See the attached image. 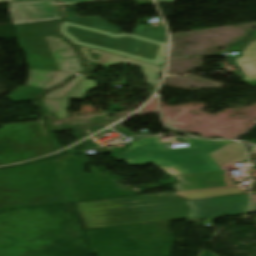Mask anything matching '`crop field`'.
Listing matches in <instances>:
<instances>
[{"label":"crop field","mask_w":256,"mask_h":256,"mask_svg":"<svg viewBox=\"0 0 256 256\" xmlns=\"http://www.w3.org/2000/svg\"><path fill=\"white\" fill-rule=\"evenodd\" d=\"M138 5H154L152 0H137Z\"/></svg>","instance_id":"crop-field-15"},{"label":"crop field","mask_w":256,"mask_h":256,"mask_svg":"<svg viewBox=\"0 0 256 256\" xmlns=\"http://www.w3.org/2000/svg\"><path fill=\"white\" fill-rule=\"evenodd\" d=\"M157 2L173 3V0H156Z\"/></svg>","instance_id":"crop-field-19"},{"label":"crop field","mask_w":256,"mask_h":256,"mask_svg":"<svg viewBox=\"0 0 256 256\" xmlns=\"http://www.w3.org/2000/svg\"><path fill=\"white\" fill-rule=\"evenodd\" d=\"M201 256H215V255L210 253V252H208V251H204V252H202Z\"/></svg>","instance_id":"crop-field-17"},{"label":"crop field","mask_w":256,"mask_h":256,"mask_svg":"<svg viewBox=\"0 0 256 256\" xmlns=\"http://www.w3.org/2000/svg\"><path fill=\"white\" fill-rule=\"evenodd\" d=\"M17 40L26 51L30 78L27 87H17L7 96L12 101L36 99L73 72H84L81 58L60 35Z\"/></svg>","instance_id":"crop-field-3"},{"label":"crop field","mask_w":256,"mask_h":256,"mask_svg":"<svg viewBox=\"0 0 256 256\" xmlns=\"http://www.w3.org/2000/svg\"><path fill=\"white\" fill-rule=\"evenodd\" d=\"M209 155L221 170L232 163L246 159L243 147L234 142L221 147Z\"/></svg>","instance_id":"crop-field-10"},{"label":"crop field","mask_w":256,"mask_h":256,"mask_svg":"<svg viewBox=\"0 0 256 256\" xmlns=\"http://www.w3.org/2000/svg\"><path fill=\"white\" fill-rule=\"evenodd\" d=\"M84 79L75 76L66 85L44 96L41 101L47 111L53 110L59 120L68 118L69 98L84 100L87 91L95 88V82Z\"/></svg>","instance_id":"crop-field-6"},{"label":"crop field","mask_w":256,"mask_h":256,"mask_svg":"<svg viewBox=\"0 0 256 256\" xmlns=\"http://www.w3.org/2000/svg\"><path fill=\"white\" fill-rule=\"evenodd\" d=\"M252 210L256 211V195H252Z\"/></svg>","instance_id":"crop-field-16"},{"label":"crop field","mask_w":256,"mask_h":256,"mask_svg":"<svg viewBox=\"0 0 256 256\" xmlns=\"http://www.w3.org/2000/svg\"><path fill=\"white\" fill-rule=\"evenodd\" d=\"M65 21L60 32L73 44L160 65L167 49L164 27L136 26L134 35L112 32L120 29L99 17L79 18L74 8L64 5Z\"/></svg>","instance_id":"crop-field-2"},{"label":"crop field","mask_w":256,"mask_h":256,"mask_svg":"<svg viewBox=\"0 0 256 256\" xmlns=\"http://www.w3.org/2000/svg\"><path fill=\"white\" fill-rule=\"evenodd\" d=\"M11 8L12 20L26 22L57 18L58 10L51 1L14 3Z\"/></svg>","instance_id":"crop-field-9"},{"label":"crop field","mask_w":256,"mask_h":256,"mask_svg":"<svg viewBox=\"0 0 256 256\" xmlns=\"http://www.w3.org/2000/svg\"><path fill=\"white\" fill-rule=\"evenodd\" d=\"M130 166L154 163L162 167L178 166L183 174L220 170L207 152L153 158L139 143H133L125 152L116 157Z\"/></svg>","instance_id":"crop-field-4"},{"label":"crop field","mask_w":256,"mask_h":256,"mask_svg":"<svg viewBox=\"0 0 256 256\" xmlns=\"http://www.w3.org/2000/svg\"><path fill=\"white\" fill-rule=\"evenodd\" d=\"M190 147L166 150L156 137L139 140V142L153 157L178 155L207 151L208 154L230 141H206L199 139H186Z\"/></svg>","instance_id":"crop-field-8"},{"label":"crop field","mask_w":256,"mask_h":256,"mask_svg":"<svg viewBox=\"0 0 256 256\" xmlns=\"http://www.w3.org/2000/svg\"><path fill=\"white\" fill-rule=\"evenodd\" d=\"M59 19L33 22L29 24L15 25L17 38L57 35L55 29Z\"/></svg>","instance_id":"crop-field-11"},{"label":"crop field","mask_w":256,"mask_h":256,"mask_svg":"<svg viewBox=\"0 0 256 256\" xmlns=\"http://www.w3.org/2000/svg\"><path fill=\"white\" fill-rule=\"evenodd\" d=\"M79 48L87 61L99 63L103 67H109L119 63L143 67V73L147 80V84H159L157 75L162 73L163 67L146 64L130 58L124 59L122 56H116L111 53L101 52L81 46H79Z\"/></svg>","instance_id":"crop-field-7"},{"label":"crop field","mask_w":256,"mask_h":256,"mask_svg":"<svg viewBox=\"0 0 256 256\" xmlns=\"http://www.w3.org/2000/svg\"><path fill=\"white\" fill-rule=\"evenodd\" d=\"M245 42H251L243 51L242 58L236 59L237 64L248 76L243 78L246 82L256 80V32L248 37Z\"/></svg>","instance_id":"crop-field-12"},{"label":"crop field","mask_w":256,"mask_h":256,"mask_svg":"<svg viewBox=\"0 0 256 256\" xmlns=\"http://www.w3.org/2000/svg\"><path fill=\"white\" fill-rule=\"evenodd\" d=\"M14 1H27V0H0V3L14 2Z\"/></svg>","instance_id":"crop-field-18"},{"label":"crop field","mask_w":256,"mask_h":256,"mask_svg":"<svg viewBox=\"0 0 256 256\" xmlns=\"http://www.w3.org/2000/svg\"><path fill=\"white\" fill-rule=\"evenodd\" d=\"M225 171L177 176L175 194L188 200L239 194V187ZM186 200L174 195H158L79 204L89 228L187 218Z\"/></svg>","instance_id":"crop-field-1"},{"label":"crop field","mask_w":256,"mask_h":256,"mask_svg":"<svg viewBox=\"0 0 256 256\" xmlns=\"http://www.w3.org/2000/svg\"><path fill=\"white\" fill-rule=\"evenodd\" d=\"M163 170L173 176L182 174L181 171L178 169V167H168V168H163Z\"/></svg>","instance_id":"crop-field-13"},{"label":"crop field","mask_w":256,"mask_h":256,"mask_svg":"<svg viewBox=\"0 0 256 256\" xmlns=\"http://www.w3.org/2000/svg\"><path fill=\"white\" fill-rule=\"evenodd\" d=\"M191 207L189 217L217 219L220 216H239L248 212V195L187 202Z\"/></svg>","instance_id":"crop-field-5"},{"label":"crop field","mask_w":256,"mask_h":256,"mask_svg":"<svg viewBox=\"0 0 256 256\" xmlns=\"http://www.w3.org/2000/svg\"><path fill=\"white\" fill-rule=\"evenodd\" d=\"M256 227V226H255Z\"/></svg>","instance_id":"crop-field-20"},{"label":"crop field","mask_w":256,"mask_h":256,"mask_svg":"<svg viewBox=\"0 0 256 256\" xmlns=\"http://www.w3.org/2000/svg\"><path fill=\"white\" fill-rule=\"evenodd\" d=\"M59 1L64 2V3L76 4V3L88 2V1H93V0H59Z\"/></svg>","instance_id":"crop-field-14"}]
</instances>
